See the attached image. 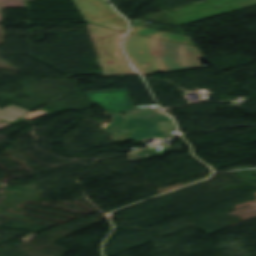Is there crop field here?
Returning a JSON list of instances; mask_svg holds the SVG:
<instances>
[{"mask_svg": "<svg viewBox=\"0 0 256 256\" xmlns=\"http://www.w3.org/2000/svg\"><path fill=\"white\" fill-rule=\"evenodd\" d=\"M160 125H161L162 130L167 133H172L176 129L173 122L160 123Z\"/></svg>", "mask_w": 256, "mask_h": 256, "instance_id": "obj_7", "label": "crop field"}, {"mask_svg": "<svg viewBox=\"0 0 256 256\" xmlns=\"http://www.w3.org/2000/svg\"><path fill=\"white\" fill-rule=\"evenodd\" d=\"M89 99L101 108L112 111L126 122L128 138L136 140L147 137L168 138L172 136L161 131L160 122L171 121L157 105L137 106L130 101L127 91L87 93ZM121 113H126L125 117Z\"/></svg>", "mask_w": 256, "mask_h": 256, "instance_id": "obj_2", "label": "crop field"}, {"mask_svg": "<svg viewBox=\"0 0 256 256\" xmlns=\"http://www.w3.org/2000/svg\"><path fill=\"white\" fill-rule=\"evenodd\" d=\"M124 48L142 75L200 67L201 52L193 46L128 34Z\"/></svg>", "mask_w": 256, "mask_h": 256, "instance_id": "obj_1", "label": "crop field"}, {"mask_svg": "<svg viewBox=\"0 0 256 256\" xmlns=\"http://www.w3.org/2000/svg\"><path fill=\"white\" fill-rule=\"evenodd\" d=\"M47 114H48V111H44V110H38L36 112H28L21 108L10 105L0 110V119L6 120L9 122H17L20 118L31 120L41 116H45ZM9 125L11 124H8L0 120V129L7 127Z\"/></svg>", "mask_w": 256, "mask_h": 256, "instance_id": "obj_4", "label": "crop field"}, {"mask_svg": "<svg viewBox=\"0 0 256 256\" xmlns=\"http://www.w3.org/2000/svg\"><path fill=\"white\" fill-rule=\"evenodd\" d=\"M88 23L126 32L128 24L118 16L105 0H74Z\"/></svg>", "mask_w": 256, "mask_h": 256, "instance_id": "obj_3", "label": "crop field"}, {"mask_svg": "<svg viewBox=\"0 0 256 256\" xmlns=\"http://www.w3.org/2000/svg\"><path fill=\"white\" fill-rule=\"evenodd\" d=\"M130 32L147 35V36H152V37H157V38H162V39L183 42V43H188V44H193L187 37H184V36L149 30V29L140 28V27H132Z\"/></svg>", "mask_w": 256, "mask_h": 256, "instance_id": "obj_5", "label": "crop field"}, {"mask_svg": "<svg viewBox=\"0 0 256 256\" xmlns=\"http://www.w3.org/2000/svg\"><path fill=\"white\" fill-rule=\"evenodd\" d=\"M113 121L103 127L109 133L111 139H128L125 130V122L117 116H113ZM120 135L123 137L121 138Z\"/></svg>", "mask_w": 256, "mask_h": 256, "instance_id": "obj_6", "label": "crop field"}]
</instances>
